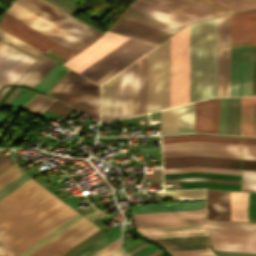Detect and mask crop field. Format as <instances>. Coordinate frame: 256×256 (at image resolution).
<instances>
[{"label":"crop field","mask_w":256,"mask_h":256,"mask_svg":"<svg viewBox=\"0 0 256 256\" xmlns=\"http://www.w3.org/2000/svg\"><path fill=\"white\" fill-rule=\"evenodd\" d=\"M67 207L31 179L0 200V235L10 248Z\"/></svg>","instance_id":"1"},{"label":"crop field","mask_w":256,"mask_h":256,"mask_svg":"<svg viewBox=\"0 0 256 256\" xmlns=\"http://www.w3.org/2000/svg\"><path fill=\"white\" fill-rule=\"evenodd\" d=\"M217 18L190 25L189 103L216 96Z\"/></svg>","instance_id":"2"},{"label":"crop field","mask_w":256,"mask_h":256,"mask_svg":"<svg viewBox=\"0 0 256 256\" xmlns=\"http://www.w3.org/2000/svg\"><path fill=\"white\" fill-rule=\"evenodd\" d=\"M170 38L148 53L147 112L169 107Z\"/></svg>","instance_id":"3"},{"label":"crop field","mask_w":256,"mask_h":256,"mask_svg":"<svg viewBox=\"0 0 256 256\" xmlns=\"http://www.w3.org/2000/svg\"><path fill=\"white\" fill-rule=\"evenodd\" d=\"M153 47L155 46L129 38L80 74L101 84Z\"/></svg>","instance_id":"4"},{"label":"crop field","mask_w":256,"mask_h":256,"mask_svg":"<svg viewBox=\"0 0 256 256\" xmlns=\"http://www.w3.org/2000/svg\"><path fill=\"white\" fill-rule=\"evenodd\" d=\"M189 25L171 36L170 107L188 103Z\"/></svg>","instance_id":"5"},{"label":"crop field","mask_w":256,"mask_h":256,"mask_svg":"<svg viewBox=\"0 0 256 256\" xmlns=\"http://www.w3.org/2000/svg\"><path fill=\"white\" fill-rule=\"evenodd\" d=\"M14 2L88 44L102 34L44 0H15Z\"/></svg>","instance_id":"6"},{"label":"crop field","mask_w":256,"mask_h":256,"mask_svg":"<svg viewBox=\"0 0 256 256\" xmlns=\"http://www.w3.org/2000/svg\"><path fill=\"white\" fill-rule=\"evenodd\" d=\"M5 13L11 15L12 17L18 19L19 21L39 31L40 33L48 36L49 38L55 40L56 42L71 36L65 31L59 29L58 27L43 20L42 18L36 16L35 14L29 12L28 10L22 8L21 6L15 3H13L12 7L9 10H7ZM58 43L62 44L63 46L69 48L70 50L76 53L88 45L76 39L73 36L65 40H62Z\"/></svg>","instance_id":"7"},{"label":"crop field","mask_w":256,"mask_h":256,"mask_svg":"<svg viewBox=\"0 0 256 256\" xmlns=\"http://www.w3.org/2000/svg\"><path fill=\"white\" fill-rule=\"evenodd\" d=\"M97 229L83 217L29 256H60Z\"/></svg>","instance_id":"8"},{"label":"crop field","mask_w":256,"mask_h":256,"mask_svg":"<svg viewBox=\"0 0 256 256\" xmlns=\"http://www.w3.org/2000/svg\"><path fill=\"white\" fill-rule=\"evenodd\" d=\"M0 28L44 53L51 49L67 59L75 54L7 14H4Z\"/></svg>","instance_id":"9"},{"label":"crop field","mask_w":256,"mask_h":256,"mask_svg":"<svg viewBox=\"0 0 256 256\" xmlns=\"http://www.w3.org/2000/svg\"><path fill=\"white\" fill-rule=\"evenodd\" d=\"M127 38L108 31L93 45L81 51L63 65L79 73Z\"/></svg>","instance_id":"10"},{"label":"crop field","mask_w":256,"mask_h":256,"mask_svg":"<svg viewBox=\"0 0 256 256\" xmlns=\"http://www.w3.org/2000/svg\"><path fill=\"white\" fill-rule=\"evenodd\" d=\"M205 210L133 214L136 226L205 222Z\"/></svg>","instance_id":"11"},{"label":"crop field","mask_w":256,"mask_h":256,"mask_svg":"<svg viewBox=\"0 0 256 256\" xmlns=\"http://www.w3.org/2000/svg\"><path fill=\"white\" fill-rule=\"evenodd\" d=\"M256 44V10L232 15V46Z\"/></svg>","instance_id":"12"},{"label":"crop field","mask_w":256,"mask_h":256,"mask_svg":"<svg viewBox=\"0 0 256 256\" xmlns=\"http://www.w3.org/2000/svg\"><path fill=\"white\" fill-rule=\"evenodd\" d=\"M203 166L240 169V159L190 156L163 159V168Z\"/></svg>","instance_id":"13"},{"label":"crop field","mask_w":256,"mask_h":256,"mask_svg":"<svg viewBox=\"0 0 256 256\" xmlns=\"http://www.w3.org/2000/svg\"><path fill=\"white\" fill-rule=\"evenodd\" d=\"M214 250L256 252V236L209 233Z\"/></svg>","instance_id":"14"},{"label":"crop field","mask_w":256,"mask_h":256,"mask_svg":"<svg viewBox=\"0 0 256 256\" xmlns=\"http://www.w3.org/2000/svg\"><path fill=\"white\" fill-rule=\"evenodd\" d=\"M252 63L231 59L230 96L251 95Z\"/></svg>","instance_id":"15"},{"label":"crop field","mask_w":256,"mask_h":256,"mask_svg":"<svg viewBox=\"0 0 256 256\" xmlns=\"http://www.w3.org/2000/svg\"><path fill=\"white\" fill-rule=\"evenodd\" d=\"M240 97L220 98V133L239 135Z\"/></svg>","instance_id":"16"},{"label":"crop field","mask_w":256,"mask_h":256,"mask_svg":"<svg viewBox=\"0 0 256 256\" xmlns=\"http://www.w3.org/2000/svg\"><path fill=\"white\" fill-rule=\"evenodd\" d=\"M76 212L72 208H67L65 211L57 215L55 218L47 222L45 225L37 229L35 232L27 236L25 239L17 243L15 246L10 248L14 253V256H17L19 253L27 249L29 246L34 244L36 241L44 237L46 234L51 232L53 229L61 225L63 222L75 215Z\"/></svg>","instance_id":"17"},{"label":"crop field","mask_w":256,"mask_h":256,"mask_svg":"<svg viewBox=\"0 0 256 256\" xmlns=\"http://www.w3.org/2000/svg\"><path fill=\"white\" fill-rule=\"evenodd\" d=\"M130 7L140 9L184 24L204 20L202 18L171 9L147 0H136Z\"/></svg>","instance_id":"18"},{"label":"crop field","mask_w":256,"mask_h":256,"mask_svg":"<svg viewBox=\"0 0 256 256\" xmlns=\"http://www.w3.org/2000/svg\"><path fill=\"white\" fill-rule=\"evenodd\" d=\"M155 42H162L169 37L172 33L147 26L126 18L121 17L117 24L113 27Z\"/></svg>","instance_id":"19"},{"label":"crop field","mask_w":256,"mask_h":256,"mask_svg":"<svg viewBox=\"0 0 256 256\" xmlns=\"http://www.w3.org/2000/svg\"><path fill=\"white\" fill-rule=\"evenodd\" d=\"M207 219L230 220V192L207 190Z\"/></svg>","instance_id":"20"},{"label":"crop field","mask_w":256,"mask_h":256,"mask_svg":"<svg viewBox=\"0 0 256 256\" xmlns=\"http://www.w3.org/2000/svg\"><path fill=\"white\" fill-rule=\"evenodd\" d=\"M123 17L129 18L144 24H148L172 33L176 32L178 29L184 26L183 24H180L171 20H167L143 11L130 8V7L124 13Z\"/></svg>","instance_id":"21"},{"label":"crop field","mask_w":256,"mask_h":256,"mask_svg":"<svg viewBox=\"0 0 256 256\" xmlns=\"http://www.w3.org/2000/svg\"><path fill=\"white\" fill-rule=\"evenodd\" d=\"M56 63L42 55L15 83L33 87Z\"/></svg>","instance_id":"22"},{"label":"crop field","mask_w":256,"mask_h":256,"mask_svg":"<svg viewBox=\"0 0 256 256\" xmlns=\"http://www.w3.org/2000/svg\"><path fill=\"white\" fill-rule=\"evenodd\" d=\"M196 209H205V200L179 202V203H171V204L134 205L132 208V213L196 210Z\"/></svg>","instance_id":"23"},{"label":"crop field","mask_w":256,"mask_h":256,"mask_svg":"<svg viewBox=\"0 0 256 256\" xmlns=\"http://www.w3.org/2000/svg\"><path fill=\"white\" fill-rule=\"evenodd\" d=\"M129 67L116 75V119L128 116Z\"/></svg>","instance_id":"24"},{"label":"crop field","mask_w":256,"mask_h":256,"mask_svg":"<svg viewBox=\"0 0 256 256\" xmlns=\"http://www.w3.org/2000/svg\"><path fill=\"white\" fill-rule=\"evenodd\" d=\"M115 119V77L101 85V122Z\"/></svg>","instance_id":"25"},{"label":"crop field","mask_w":256,"mask_h":256,"mask_svg":"<svg viewBox=\"0 0 256 256\" xmlns=\"http://www.w3.org/2000/svg\"><path fill=\"white\" fill-rule=\"evenodd\" d=\"M209 232L256 235V224L207 220Z\"/></svg>","instance_id":"26"},{"label":"crop field","mask_w":256,"mask_h":256,"mask_svg":"<svg viewBox=\"0 0 256 256\" xmlns=\"http://www.w3.org/2000/svg\"><path fill=\"white\" fill-rule=\"evenodd\" d=\"M205 19L226 15L182 0H150Z\"/></svg>","instance_id":"27"},{"label":"crop field","mask_w":256,"mask_h":256,"mask_svg":"<svg viewBox=\"0 0 256 256\" xmlns=\"http://www.w3.org/2000/svg\"><path fill=\"white\" fill-rule=\"evenodd\" d=\"M194 132V103L177 107V133Z\"/></svg>","instance_id":"28"},{"label":"crop field","mask_w":256,"mask_h":256,"mask_svg":"<svg viewBox=\"0 0 256 256\" xmlns=\"http://www.w3.org/2000/svg\"><path fill=\"white\" fill-rule=\"evenodd\" d=\"M187 141H203V142L240 144V138H233V137H218V136H203V135L162 137V143L187 142Z\"/></svg>","instance_id":"29"},{"label":"crop field","mask_w":256,"mask_h":256,"mask_svg":"<svg viewBox=\"0 0 256 256\" xmlns=\"http://www.w3.org/2000/svg\"><path fill=\"white\" fill-rule=\"evenodd\" d=\"M231 220L247 222V193L231 192Z\"/></svg>","instance_id":"30"},{"label":"crop field","mask_w":256,"mask_h":256,"mask_svg":"<svg viewBox=\"0 0 256 256\" xmlns=\"http://www.w3.org/2000/svg\"><path fill=\"white\" fill-rule=\"evenodd\" d=\"M138 114V61L130 65L129 116Z\"/></svg>","instance_id":"31"},{"label":"crop field","mask_w":256,"mask_h":256,"mask_svg":"<svg viewBox=\"0 0 256 256\" xmlns=\"http://www.w3.org/2000/svg\"><path fill=\"white\" fill-rule=\"evenodd\" d=\"M155 194L173 201L189 200V199H205L204 189H189V190H175V191H161L155 192Z\"/></svg>","instance_id":"32"},{"label":"crop field","mask_w":256,"mask_h":256,"mask_svg":"<svg viewBox=\"0 0 256 256\" xmlns=\"http://www.w3.org/2000/svg\"><path fill=\"white\" fill-rule=\"evenodd\" d=\"M147 55L139 59V114L146 112Z\"/></svg>","instance_id":"33"},{"label":"crop field","mask_w":256,"mask_h":256,"mask_svg":"<svg viewBox=\"0 0 256 256\" xmlns=\"http://www.w3.org/2000/svg\"><path fill=\"white\" fill-rule=\"evenodd\" d=\"M190 155L240 158V153H233V152H218V151H203V150L163 152V158L179 157V156H190Z\"/></svg>","instance_id":"34"},{"label":"crop field","mask_w":256,"mask_h":256,"mask_svg":"<svg viewBox=\"0 0 256 256\" xmlns=\"http://www.w3.org/2000/svg\"><path fill=\"white\" fill-rule=\"evenodd\" d=\"M81 217H83V216L80 215L79 213L76 214L74 217H72L71 219H69L68 221H66L64 224H62L61 226H59L58 228H56L54 231H52L51 233H49L47 236H45L44 238H42L41 240H39L37 243H35V244L32 245L31 247H29L27 250H25L24 252H22V253L19 254L18 256H28L29 254H31L32 252H34L36 249H38L39 247H41L43 244H45L46 242H48L50 239H52L53 237H55L56 235H58L60 232H62L63 230H65L67 227H69L70 225H72L74 222H76L77 220H79Z\"/></svg>","instance_id":"35"},{"label":"crop field","mask_w":256,"mask_h":256,"mask_svg":"<svg viewBox=\"0 0 256 256\" xmlns=\"http://www.w3.org/2000/svg\"><path fill=\"white\" fill-rule=\"evenodd\" d=\"M176 133V107L161 111V134Z\"/></svg>","instance_id":"36"},{"label":"crop field","mask_w":256,"mask_h":256,"mask_svg":"<svg viewBox=\"0 0 256 256\" xmlns=\"http://www.w3.org/2000/svg\"><path fill=\"white\" fill-rule=\"evenodd\" d=\"M234 12L256 8V6L243 3L237 0H201Z\"/></svg>","instance_id":"37"},{"label":"crop field","mask_w":256,"mask_h":256,"mask_svg":"<svg viewBox=\"0 0 256 256\" xmlns=\"http://www.w3.org/2000/svg\"><path fill=\"white\" fill-rule=\"evenodd\" d=\"M0 39L4 40L5 42L23 50L24 52L30 54L31 56L38 58L43 53L37 51L36 49L30 47L29 45L23 43L22 41L16 39L15 37L9 35L8 33L2 31L0 29Z\"/></svg>","instance_id":"38"},{"label":"crop field","mask_w":256,"mask_h":256,"mask_svg":"<svg viewBox=\"0 0 256 256\" xmlns=\"http://www.w3.org/2000/svg\"><path fill=\"white\" fill-rule=\"evenodd\" d=\"M25 56L22 52L14 50L1 64H0V80Z\"/></svg>","instance_id":"39"},{"label":"crop field","mask_w":256,"mask_h":256,"mask_svg":"<svg viewBox=\"0 0 256 256\" xmlns=\"http://www.w3.org/2000/svg\"><path fill=\"white\" fill-rule=\"evenodd\" d=\"M163 171H164V173L188 172V171H203V172H218V173L240 174V170L218 169V168H203V167L171 168V169H163Z\"/></svg>","instance_id":"40"},{"label":"crop field","mask_w":256,"mask_h":256,"mask_svg":"<svg viewBox=\"0 0 256 256\" xmlns=\"http://www.w3.org/2000/svg\"><path fill=\"white\" fill-rule=\"evenodd\" d=\"M29 179L31 178H29L27 175L23 173L14 180H12L10 183H8L7 185L0 189V199L11 193L13 190L24 184Z\"/></svg>","instance_id":"41"},{"label":"crop field","mask_w":256,"mask_h":256,"mask_svg":"<svg viewBox=\"0 0 256 256\" xmlns=\"http://www.w3.org/2000/svg\"><path fill=\"white\" fill-rule=\"evenodd\" d=\"M110 239L111 238L105 234L74 256H87L88 254L93 252L95 249H97L98 247H100L101 245H103L105 242H107Z\"/></svg>","instance_id":"42"},{"label":"crop field","mask_w":256,"mask_h":256,"mask_svg":"<svg viewBox=\"0 0 256 256\" xmlns=\"http://www.w3.org/2000/svg\"><path fill=\"white\" fill-rule=\"evenodd\" d=\"M22 172L16 168V166H12L10 169L5 171L0 175V188L7 184L9 181L20 175Z\"/></svg>","instance_id":"43"},{"label":"crop field","mask_w":256,"mask_h":256,"mask_svg":"<svg viewBox=\"0 0 256 256\" xmlns=\"http://www.w3.org/2000/svg\"><path fill=\"white\" fill-rule=\"evenodd\" d=\"M172 256H216L211 250H192L170 252Z\"/></svg>","instance_id":"44"},{"label":"crop field","mask_w":256,"mask_h":256,"mask_svg":"<svg viewBox=\"0 0 256 256\" xmlns=\"http://www.w3.org/2000/svg\"><path fill=\"white\" fill-rule=\"evenodd\" d=\"M48 110L56 113V114H61L63 116H67L69 113H71L74 109L66 106L65 104L59 102V101H55L49 108ZM70 115V114H69Z\"/></svg>","instance_id":"45"},{"label":"crop field","mask_w":256,"mask_h":256,"mask_svg":"<svg viewBox=\"0 0 256 256\" xmlns=\"http://www.w3.org/2000/svg\"><path fill=\"white\" fill-rule=\"evenodd\" d=\"M190 180H201V181H212V182H224V183H235V184H240V181H233V180H218V179H203V178L171 179V180H164V183H169V182H180V181H190Z\"/></svg>","instance_id":"46"},{"label":"crop field","mask_w":256,"mask_h":256,"mask_svg":"<svg viewBox=\"0 0 256 256\" xmlns=\"http://www.w3.org/2000/svg\"><path fill=\"white\" fill-rule=\"evenodd\" d=\"M5 150L0 151V172L5 170L7 167H9L11 164H13V161L11 159V152L9 154H4ZM12 166V165H11Z\"/></svg>","instance_id":"47"},{"label":"crop field","mask_w":256,"mask_h":256,"mask_svg":"<svg viewBox=\"0 0 256 256\" xmlns=\"http://www.w3.org/2000/svg\"><path fill=\"white\" fill-rule=\"evenodd\" d=\"M15 48L5 44L0 49V63L14 50Z\"/></svg>","instance_id":"48"},{"label":"crop field","mask_w":256,"mask_h":256,"mask_svg":"<svg viewBox=\"0 0 256 256\" xmlns=\"http://www.w3.org/2000/svg\"><path fill=\"white\" fill-rule=\"evenodd\" d=\"M186 1H189V2H192V3H195V4H199V5H202V6H205V7H208V8L226 13V14L234 13V12H231V11H228V10H225V9H222V8H218V7H215V6H212V5L197 1V0H186Z\"/></svg>","instance_id":"49"},{"label":"crop field","mask_w":256,"mask_h":256,"mask_svg":"<svg viewBox=\"0 0 256 256\" xmlns=\"http://www.w3.org/2000/svg\"><path fill=\"white\" fill-rule=\"evenodd\" d=\"M221 256H256V253H239V252H223L216 251Z\"/></svg>","instance_id":"50"},{"label":"crop field","mask_w":256,"mask_h":256,"mask_svg":"<svg viewBox=\"0 0 256 256\" xmlns=\"http://www.w3.org/2000/svg\"><path fill=\"white\" fill-rule=\"evenodd\" d=\"M140 154L160 153V147H139Z\"/></svg>","instance_id":"51"},{"label":"crop field","mask_w":256,"mask_h":256,"mask_svg":"<svg viewBox=\"0 0 256 256\" xmlns=\"http://www.w3.org/2000/svg\"><path fill=\"white\" fill-rule=\"evenodd\" d=\"M242 169L256 170V161L242 160Z\"/></svg>","instance_id":"52"},{"label":"crop field","mask_w":256,"mask_h":256,"mask_svg":"<svg viewBox=\"0 0 256 256\" xmlns=\"http://www.w3.org/2000/svg\"><path fill=\"white\" fill-rule=\"evenodd\" d=\"M110 30H113V31H116V32H119V33H122V34H125V35H128V36L134 37L136 39H139V40H142V41L154 44V45H158V43H155V42H152V41H149V40H146V39H143V38H140V37H137V36H134V35H131V34L116 30V29H113V28H111Z\"/></svg>","instance_id":"53"},{"label":"crop field","mask_w":256,"mask_h":256,"mask_svg":"<svg viewBox=\"0 0 256 256\" xmlns=\"http://www.w3.org/2000/svg\"><path fill=\"white\" fill-rule=\"evenodd\" d=\"M242 144L256 145V138L242 137Z\"/></svg>","instance_id":"54"},{"label":"crop field","mask_w":256,"mask_h":256,"mask_svg":"<svg viewBox=\"0 0 256 256\" xmlns=\"http://www.w3.org/2000/svg\"><path fill=\"white\" fill-rule=\"evenodd\" d=\"M242 177L256 178V171L242 170Z\"/></svg>","instance_id":"55"},{"label":"crop field","mask_w":256,"mask_h":256,"mask_svg":"<svg viewBox=\"0 0 256 256\" xmlns=\"http://www.w3.org/2000/svg\"><path fill=\"white\" fill-rule=\"evenodd\" d=\"M117 238H119V234L117 236H115L112 240H110L109 242H107L105 245H103L102 247H100L99 249H97L96 251H94L92 254H90L89 256H93L94 254H96L97 252H99L100 250H102L104 247H106L107 245H109L110 243H112L114 240H116Z\"/></svg>","instance_id":"56"},{"label":"crop field","mask_w":256,"mask_h":256,"mask_svg":"<svg viewBox=\"0 0 256 256\" xmlns=\"http://www.w3.org/2000/svg\"><path fill=\"white\" fill-rule=\"evenodd\" d=\"M102 213H100L99 211L95 210V211H92V212H89L87 214H84V216L88 219L92 218V217H95L97 215H100Z\"/></svg>","instance_id":"57"},{"label":"crop field","mask_w":256,"mask_h":256,"mask_svg":"<svg viewBox=\"0 0 256 256\" xmlns=\"http://www.w3.org/2000/svg\"><path fill=\"white\" fill-rule=\"evenodd\" d=\"M242 184H253V185H256V179L242 178Z\"/></svg>","instance_id":"58"},{"label":"crop field","mask_w":256,"mask_h":256,"mask_svg":"<svg viewBox=\"0 0 256 256\" xmlns=\"http://www.w3.org/2000/svg\"><path fill=\"white\" fill-rule=\"evenodd\" d=\"M242 159H253V160H256V154L242 153Z\"/></svg>","instance_id":"59"},{"label":"crop field","mask_w":256,"mask_h":256,"mask_svg":"<svg viewBox=\"0 0 256 256\" xmlns=\"http://www.w3.org/2000/svg\"><path fill=\"white\" fill-rule=\"evenodd\" d=\"M108 256H126L120 248H118L117 250H115L113 253H111Z\"/></svg>","instance_id":"60"},{"label":"crop field","mask_w":256,"mask_h":256,"mask_svg":"<svg viewBox=\"0 0 256 256\" xmlns=\"http://www.w3.org/2000/svg\"><path fill=\"white\" fill-rule=\"evenodd\" d=\"M242 190L256 191V186H253V185H242Z\"/></svg>","instance_id":"61"},{"label":"crop field","mask_w":256,"mask_h":256,"mask_svg":"<svg viewBox=\"0 0 256 256\" xmlns=\"http://www.w3.org/2000/svg\"><path fill=\"white\" fill-rule=\"evenodd\" d=\"M7 246L4 244V242L1 240L0 238V255L5 251L7 250Z\"/></svg>","instance_id":"62"},{"label":"crop field","mask_w":256,"mask_h":256,"mask_svg":"<svg viewBox=\"0 0 256 256\" xmlns=\"http://www.w3.org/2000/svg\"><path fill=\"white\" fill-rule=\"evenodd\" d=\"M6 251V250H5ZM1 256H13L10 250L8 249L6 252H4Z\"/></svg>","instance_id":"63"},{"label":"crop field","mask_w":256,"mask_h":256,"mask_svg":"<svg viewBox=\"0 0 256 256\" xmlns=\"http://www.w3.org/2000/svg\"><path fill=\"white\" fill-rule=\"evenodd\" d=\"M240 1H243V2H247V3H250V4L256 5V0H240Z\"/></svg>","instance_id":"64"},{"label":"crop field","mask_w":256,"mask_h":256,"mask_svg":"<svg viewBox=\"0 0 256 256\" xmlns=\"http://www.w3.org/2000/svg\"><path fill=\"white\" fill-rule=\"evenodd\" d=\"M144 179H162L161 176H151V177H145Z\"/></svg>","instance_id":"65"},{"label":"crop field","mask_w":256,"mask_h":256,"mask_svg":"<svg viewBox=\"0 0 256 256\" xmlns=\"http://www.w3.org/2000/svg\"><path fill=\"white\" fill-rule=\"evenodd\" d=\"M9 89V87L4 88L3 92L0 95V100L2 99V97L4 96V94L6 93V91Z\"/></svg>","instance_id":"66"},{"label":"crop field","mask_w":256,"mask_h":256,"mask_svg":"<svg viewBox=\"0 0 256 256\" xmlns=\"http://www.w3.org/2000/svg\"><path fill=\"white\" fill-rule=\"evenodd\" d=\"M18 90V88L16 89V91ZM16 91L11 95V97L16 93ZM11 97L5 102V104L2 106L1 110L3 109V107L7 104V102L11 99Z\"/></svg>","instance_id":"67"},{"label":"crop field","mask_w":256,"mask_h":256,"mask_svg":"<svg viewBox=\"0 0 256 256\" xmlns=\"http://www.w3.org/2000/svg\"><path fill=\"white\" fill-rule=\"evenodd\" d=\"M145 245V244H144ZM144 245H142V246H140L139 248H137V249H135V250H133L132 252H130V253H128V254H133L134 252H136L137 250H139L141 247H143Z\"/></svg>","instance_id":"68"},{"label":"crop field","mask_w":256,"mask_h":256,"mask_svg":"<svg viewBox=\"0 0 256 256\" xmlns=\"http://www.w3.org/2000/svg\"><path fill=\"white\" fill-rule=\"evenodd\" d=\"M160 252L159 250H157L156 252H154L153 254L149 255V256H153L155 255L156 253Z\"/></svg>","instance_id":"69"},{"label":"crop field","mask_w":256,"mask_h":256,"mask_svg":"<svg viewBox=\"0 0 256 256\" xmlns=\"http://www.w3.org/2000/svg\"><path fill=\"white\" fill-rule=\"evenodd\" d=\"M1 89V88H0Z\"/></svg>","instance_id":"70"}]
</instances>
